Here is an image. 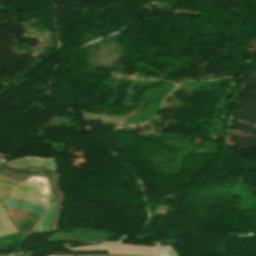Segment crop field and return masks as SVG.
<instances>
[{"instance_id":"1","label":"crop field","mask_w":256,"mask_h":256,"mask_svg":"<svg viewBox=\"0 0 256 256\" xmlns=\"http://www.w3.org/2000/svg\"><path fill=\"white\" fill-rule=\"evenodd\" d=\"M48 193L46 178L33 176L20 184L10 197L46 207Z\"/></svg>"},{"instance_id":"2","label":"crop field","mask_w":256,"mask_h":256,"mask_svg":"<svg viewBox=\"0 0 256 256\" xmlns=\"http://www.w3.org/2000/svg\"><path fill=\"white\" fill-rule=\"evenodd\" d=\"M10 163L23 166H45L46 169L55 172V162L53 158L39 159L38 157H25Z\"/></svg>"},{"instance_id":"3","label":"crop field","mask_w":256,"mask_h":256,"mask_svg":"<svg viewBox=\"0 0 256 256\" xmlns=\"http://www.w3.org/2000/svg\"><path fill=\"white\" fill-rule=\"evenodd\" d=\"M5 207H13V208H17V209H22V210L30 211V212H33V213H36V214H39L42 216L44 215V212L46 210V208H44V207L36 206V205L30 204L27 202H23V201L11 199V198H8Z\"/></svg>"},{"instance_id":"4","label":"crop field","mask_w":256,"mask_h":256,"mask_svg":"<svg viewBox=\"0 0 256 256\" xmlns=\"http://www.w3.org/2000/svg\"><path fill=\"white\" fill-rule=\"evenodd\" d=\"M18 232L7 219L5 210L0 208V237Z\"/></svg>"},{"instance_id":"5","label":"crop field","mask_w":256,"mask_h":256,"mask_svg":"<svg viewBox=\"0 0 256 256\" xmlns=\"http://www.w3.org/2000/svg\"><path fill=\"white\" fill-rule=\"evenodd\" d=\"M54 205H55V203L49 202L47 214H46L41 226L39 227V229L35 233L48 232V228H49L51 216H52V213H53Z\"/></svg>"},{"instance_id":"6","label":"crop field","mask_w":256,"mask_h":256,"mask_svg":"<svg viewBox=\"0 0 256 256\" xmlns=\"http://www.w3.org/2000/svg\"><path fill=\"white\" fill-rule=\"evenodd\" d=\"M19 185V183L4 179L0 177V191H4L12 194L13 190Z\"/></svg>"},{"instance_id":"7","label":"crop field","mask_w":256,"mask_h":256,"mask_svg":"<svg viewBox=\"0 0 256 256\" xmlns=\"http://www.w3.org/2000/svg\"><path fill=\"white\" fill-rule=\"evenodd\" d=\"M0 176L11 179V180H14V181L19 182V183H21V182H23L24 180L27 179V178H23L21 176L13 175L11 173H8V172L2 171V170H0Z\"/></svg>"}]
</instances>
